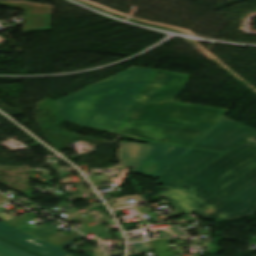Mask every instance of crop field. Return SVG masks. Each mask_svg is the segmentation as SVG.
Wrapping results in <instances>:
<instances>
[{"label": "crop field", "mask_w": 256, "mask_h": 256, "mask_svg": "<svg viewBox=\"0 0 256 256\" xmlns=\"http://www.w3.org/2000/svg\"><path fill=\"white\" fill-rule=\"evenodd\" d=\"M162 196L182 214L196 213L204 219L223 221L253 215L256 144H240Z\"/></svg>", "instance_id": "8a807250"}, {"label": "crop field", "mask_w": 256, "mask_h": 256, "mask_svg": "<svg viewBox=\"0 0 256 256\" xmlns=\"http://www.w3.org/2000/svg\"><path fill=\"white\" fill-rule=\"evenodd\" d=\"M189 78L155 70L116 133L190 147L225 110L175 103Z\"/></svg>", "instance_id": "ac0d7876"}, {"label": "crop field", "mask_w": 256, "mask_h": 256, "mask_svg": "<svg viewBox=\"0 0 256 256\" xmlns=\"http://www.w3.org/2000/svg\"><path fill=\"white\" fill-rule=\"evenodd\" d=\"M153 72L132 66L60 98V116L78 126L115 132Z\"/></svg>", "instance_id": "34b2d1b8"}, {"label": "crop field", "mask_w": 256, "mask_h": 256, "mask_svg": "<svg viewBox=\"0 0 256 256\" xmlns=\"http://www.w3.org/2000/svg\"><path fill=\"white\" fill-rule=\"evenodd\" d=\"M187 149L148 143H119L120 167L131 166V172L157 178Z\"/></svg>", "instance_id": "412701ff"}, {"label": "crop field", "mask_w": 256, "mask_h": 256, "mask_svg": "<svg viewBox=\"0 0 256 256\" xmlns=\"http://www.w3.org/2000/svg\"><path fill=\"white\" fill-rule=\"evenodd\" d=\"M255 132L253 128L221 116L191 147L226 152Z\"/></svg>", "instance_id": "f4fd0767"}, {"label": "crop field", "mask_w": 256, "mask_h": 256, "mask_svg": "<svg viewBox=\"0 0 256 256\" xmlns=\"http://www.w3.org/2000/svg\"><path fill=\"white\" fill-rule=\"evenodd\" d=\"M223 154L188 149L158 177L157 182L168 190Z\"/></svg>", "instance_id": "dd49c442"}, {"label": "crop field", "mask_w": 256, "mask_h": 256, "mask_svg": "<svg viewBox=\"0 0 256 256\" xmlns=\"http://www.w3.org/2000/svg\"><path fill=\"white\" fill-rule=\"evenodd\" d=\"M0 4L24 10V32L50 30L52 6L23 1H0Z\"/></svg>", "instance_id": "e52e79f7"}, {"label": "crop field", "mask_w": 256, "mask_h": 256, "mask_svg": "<svg viewBox=\"0 0 256 256\" xmlns=\"http://www.w3.org/2000/svg\"><path fill=\"white\" fill-rule=\"evenodd\" d=\"M0 236L17 242L46 256H67L65 252L31 235L11 228L0 222Z\"/></svg>", "instance_id": "d8731c3e"}, {"label": "crop field", "mask_w": 256, "mask_h": 256, "mask_svg": "<svg viewBox=\"0 0 256 256\" xmlns=\"http://www.w3.org/2000/svg\"><path fill=\"white\" fill-rule=\"evenodd\" d=\"M149 244L151 245L152 249L156 253L157 256H173L175 255L173 251H171L165 241L163 240H153V241H148ZM170 250L169 253H166L165 251Z\"/></svg>", "instance_id": "5a996713"}, {"label": "crop field", "mask_w": 256, "mask_h": 256, "mask_svg": "<svg viewBox=\"0 0 256 256\" xmlns=\"http://www.w3.org/2000/svg\"><path fill=\"white\" fill-rule=\"evenodd\" d=\"M31 216H32L33 218H29V217H31ZM35 217H36L35 214H33V213H28V214L20 215V216H18V217H16V218H14V219H12V220H10V221L4 222V223H6V224H8V225H10V226H12V227H14V228H17V227H19V226H21V225H23V224H25V223L31 221V220L34 219ZM21 220H23V222H20Z\"/></svg>", "instance_id": "3316defc"}, {"label": "crop field", "mask_w": 256, "mask_h": 256, "mask_svg": "<svg viewBox=\"0 0 256 256\" xmlns=\"http://www.w3.org/2000/svg\"><path fill=\"white\" fill-rule=\"evenodd\" d=\"M52 228H54V227H52ZM52 228L48 229L45 226H41V227L34 229L28 233L37 238L44 239L58 231L57 229L51 230Z\"/></svg>", "instance_id": "28ad6ade"}, {"label": "crop field", "mask_w": 256, "mask_h": 256, "mask_svg": "<svg viewBox=\"0 0 256 256\" xmlns=\"http://www.w3.org/2000/svg\"><path fill=\"white\" fill-rule=\"evenodd\" d=\"M85 230L88 233H94L99 239L111 238L108 231L101 224L85 228Z\"/></svg>", "instance_id": "d1516ede"}, {"label": "crop field", "mask_w": 256, "mask_h": 256, "mask_svg": "<svg viewBox=\"0 0 256 256\" xmlns=\"http://www.w3.org/2000/svg\"><path fill=\"white\" fill-rule=\"evenodd\" d=\"M0 240L3 241V242H6V243H8V244H10V245H12V246H15V247H17V248H19V249H21V250H24V251H26V252H28V253H30V254H33V255H35V256H43V255H41V254H39V253H37V252H34V251H32V250H30V249H28V248H26V247H23V246H21V245H19V244H17V243H13V242H11V241H9V240H7V239H4V238H2V237H0Z\"/></svg>", "instance_id": "22f410ed"}, {"label": "crop field", "mask_w": 256, "mask_h": 256, "mask_svg": "<svg viewBox=\"0 0 256 256\" xmlns=\"http://www.w3.org/2000/svg\"><path fill=\"white\" fill-rule=\"evenodd\" d=\"M0 245L3 246V247H6V248H8V249H10L12 251H15V252H17V253H19V254H21L23 256H33V255H30V254H28V253H26L24 251H21V250L15 248V247H12V246H10V245H8L6 243H3L1 241H0Z\"/></svg>", "instance_id": "cbeb9de0"}, {"label": "crop field", "mask_w": 256, "mask_h": 256, "mask_svg": "<svg viewBox=\"0 0 256 256\" xmlns=\"http://www.w3.org/2000/svg\"><path fill=\"white\" fill-rule=\"evenodd\" d=\"M0 254L4 255V256H21V255L15 253V252H12V251H10L6 248H3L1 246H0Z\"/></svg>", "instance_id": "5142ce71"}, {"label": "crop field", "mask_w": 256, "mask_h": 256, "mask_svg": "<svg viewBox=\"0 0 256 256\" xmlns=\"http://www.w3.org/2000/svg\"><path fill=\"white\" fill-rule=\"evenodd\" d=\"M167 225L171 227V229H169V231H171L172 233H174L176 235L185 237V233L183 231H181L180 229H178L176 226H174L172 224H167Z\"/></svg>", "instance_id": "d9b57169"}, {"label": "crop field", "mask_w": 256, "mask_h": 256, "mask_svg": "<svg viewBox=\"0 0 256 256\" xmlns=\"http://www.w3.org/2000/svg\"><path fill=\"white\" fill-rule=\"evenodd\" d=\"M160 238H166L167 240H171L172 234L166 230H158Z\"/></svg>", "instance_id": "733c2abd"}, {"label": "crop field", "mask_w": 256, "mask_h": 256, "mask_svg": "<svg viewBox=\"0 0 256 256\" xmlns=\"http://www.w3.org/2000/svg\"><path fill=\"white\" fill-rule=\"evenodd\" d=\"M247 140L256 142V133L253 136H251L250 138H248Z\"/></svg>", "instance_id": "4a817a6b"}, {"label": "crop field", "mask_w": 256, "mask_h": 256, "mask_svg": "<svg viewBox=\"0 0 256 256\" xmlns=\"http://www.w3.org/2000/svg\"><path fill=\"white\" fill-rule=\"evenodd\" d=\"M5 200H8V199H6V198H4L3 196L0 195V202H3Z\"/></svg>", "instance_id": "bc2a9ffb"}, {"label": "crop field", "mask_w": 256, "mask_h": 256, "mask_svg": "<svg viewBox=\"0 0 256 256\" xmlns=\"http://www.w3.org/2000/svg\"><path fill=\"white\" fill-rule=\"evenodd\" d=\"M226 111H227V110H226ZM226 111H225V112H226ZM223 113H224V112H223Z\"/></svg>", "instance_id": "214f88e0"}, {"label": "crop field", "mask_w": 256, "mask_h": 256, "mask_svg": "<svg viewBox=\"0 0 256 256\" xmlns=\"http://www.w3.org/2000/svg\"><path fill=\"white\" fill-rule=\"evenodd\" d=\"M1 256V255H0Z\"/></svg>", "instance_id": "92a150f3"}]
</instances>
